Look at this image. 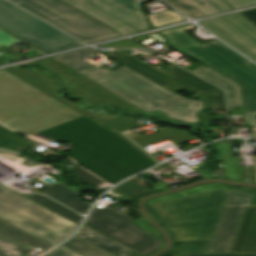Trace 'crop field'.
<instances>
[{"mask_svg":"<svg viewBox=\"0 0 256 256\" xmlns=\"http://www.w3.org/2000/svg\"><path fill=\"white\" fill-rule=\"evenodd\" d=\"M0 123L76 145L69 157L110 184L152 165L148 158L117 136L68 106L0 70Z\"/></svg>","mask_w":256,"mask_h":256,"instance_id":"crop-field-1","label":"crop field"},{"mask_svg":"<svg viewBox=\"0 0 256 256\" xmlns=\"http://www.w3.org/2000/svg\"><path fill=\"white\" fill-rule=\"evenodd\" d=\"M95 55L97 53L89 48L53 58L147 112L160 109L172 119L198 122L195 113L203 107L200 100L174 94L124 66L111 71L86 62Z\"/></svg>","mask_w":256,"mask_h":256,"instance_id":"crop-field-2","label":"crop field"},{"mask_svg":"<svg viewBox=\"0 0 256 256\" xmlns=\"http://www.w3.org/2000/svg\"><path fill=\"white\" fill-rule=\"evenodd\" d=\"M226 205V189L147 205L152 215L185 241L179 256H256L206 254Z\"/></svg>","mask_w":256,"mask_h":256,"instance_id":"crop-field-3","label":"crop field"},{"mask_svg":"<svg viewBox=\"0 0 256 256\" xmlns=\"http://www.w3.org/2000/svg\"><path fill=\"white\" fill-rule=\"evenodd\" d=\"M195 27L187 25L160 33L171 48L241 84L246 125L251 126L252 137H256V66L217 40L203 44L184 32ZM161 34L148 36L166 45Z\"/></svg>","mask_w":256,"mask_h":256,"instance_id":"crop-field-4","label":"crop field"},{"mask_svg":"<svg viewBox=\"0 0 256 256\" xmlns=\"http://www.w3.org/2000/svg\"><path fill=\"white\" fill-rule=\"evenodd\" d=\"M0 214L57 243L68 238L77 228L74 223L1 184Z\"/></svg>","mask_w":256,"mask_h":256,"instance_id":"crop-field-5","label":"crop field"},{"mask_svg":"<svg viewBox=\"0 0 256 256\" xmlns=\"http://www.w3.org/2000/svg\"><path fill=\"white\" fill-rule=\"evenodd\" d=\"M0 28L45 53L82 44L5 0H0Z\"/></svg>","mask_w":256,"mask_h":256,"instance_id":"crop-field-6","label":"crop field"},{"mask_svg":"<svg viewBox=\"0 0 256 256\" xmlns=\"http://www.w3.org/2000/svg\"><path fill=\"white\" fill-rule=\"evenodd\" d=\"M11 1L87 43L121 36L59 0Z\"/></svg>","mask_w":256,"mask_h":256,"instance_id":"crop-field-7","label":"crop field"},{"mask_svg":"<svg viewBox=\"0 0 256 256\" xmlns=\"http://www.w3.org/2000/svg\"><path fill=\"white\" fill-rule=\"evenodd\" d=\"M84 225L143 256L151 255L163 246L160 240L137 225L134 220L118 227L91 212Z\"/></svg>","mask_w":256,"mask_h":256,"instance_id":"crop-field-8","label":"crop field"},{"mask_svg":"<svg viewBox=\"0 0 256 256\" xmlns=\"http://www.w3.org/2000/svg\"><path fill=\"white\" fill-rule=\"evenodd\" d=\"M252 60L256 59V28L239 13L200 23Z\"/></svg>","mask_w":256,"mask_h":256,"instance_id":"crop-field-9","label":"crop field"},{"mask_svg":"<svg viewBox=\"0 0 256 256\" xmlns=\"http://www.w3.org/2000/svg\"><path fill=\"white\" fill-rule=\"evenodd\" d=\"M42 65L54 70L58 73L67 83L73 84V89L69 90L75 96H82L86 102L94 105L100 101L113 102L121 107H128L132 105L123 98L96 84L95 82L87 79L58 61L50 58L39 61Z\"/></svg>","mask_w":256,"mask_h":256,"instance_id":"crop-field-10","label":"crop field"},{"mask_svg":"<svg viewBox=\"0 0 256 256\" xmlns=\"http://www.w3.org/2000/svg\"><path fill=\"white\" fill-rule=\"evenodd\" d=\"M247 206L226 207L207 253H230Z\"/></svg>","mask_w":256,"mask_h":256,"instance_id":"crop-field-11","label":"crop field"},{"mask_svg":"<svg viewBox=\"0 0 256 256\" xmlns=\"http://www.w3.org/2000/svg\"><path fill=\"white\" fill-rule=\"evenodd\" d=\"M92 5L107 14L132 25L139 31L150 28L146 17L141 12L140 3L149 0H90Z\"/></svg>","mask_w":256,"mask_h":256,"instance_id":"crop-field-12","label":"crop field"},{"mask_svg":"<svg viewBox=\"0 0 256 256\" xmlns=\"http://www.w3.org/2000/svg\"><path fill=\"white\" fill-rule=\"evenodd\" d=\"M168 71L175 83L189 88L193 93L199 92L197 94L199 96H222L210 99L211 103L214 105L211 109L226 110L223 90L208 84L207 82L173 64L168 66Z\"/></svg>","mask_w":256,"mask_h":256,"instance_id":"crop-field-13","label":"crop field"},{"mask_svg":"<svg viewBox=\"0 0 256 256\" xmlns=\"http://www.w3.org/2000/svg\"><path fill=\"white\" fill-rule=\"evenodd\" d=\"M8 71H10L11 73L19 76L20 78L24 79L25 81H27L28 83L36 86L37 88L43 90L44 92L52 95L53 97L57 98L58 100L64 102L65 104L81 111L82 113L88 115L89 117H91L92 119L96 120L99 123H102L106 120H109L111 118H113L112 115L107 114V113H93L90 111H86L82 108H78L74 103L58 96L57 94L53 93V89L55 88L53 81L50 79V77H48L47 75L41 73V72H35V71H27L25 69L22 68H18V67H11V68H7Z\"/></svg>","mask_w":256,"mask_h":256,"instance_id":"crop-field-14","label":"crop field"},{"mask_svg":"<svg viewBox=\"0 0 256 256\" xmlns=\"http://www.w3.org/2000/svg\"><path fill=\"white\" fill-rule=\"evenodd\" d=\"M191 18L232 10L223 0H164Z\"/></svg>","mask_w":256,"mask_h":256,"instance_id":"crop-field-15","label":"crop field"},{"mask_svg":"<svg viewBox=\"0 0 256 256\" xmlns=\"http://www.w3.org/2000/svg\"><path fill=\"white\" fill-rule=\"evenodd\" d=\"M231 253H256V207L248 206Z\"/></svg>","mask_w":256,"mask_h":256,"instance_id":"crop-field-16","label":"crop field"},{"mask_svg":"<svg viewBox=\"0 0 256 256\" xmlns=\"http://www.w3.org/2000/svg\"><path fill=\"white\" fill-rule=\"evenodd\" d=\"M103 53L118 60L123 65L131 68L132 70L140 73L141 75L147 77L148 79L156 82L157 84H159L175 93L184 89L182 87H179V86L173 84L170 81L168 75L128 56L127 54L106 53V52H103Z\"/></svg>","mask_w":256,"mask_h":256,"instance_id":"crop-field-17","label":"crop field"},{"mask_svg":"<svg viewBox=\"0 0 256 256\" xmlns=\"http://www.w3.org/2000/svg\"><path fill=\"white\" fill-rule=\"evenodd\" d=\"M191 71L223 87L227 91L229 108L243 107L242 93L239 84L204 65Z\"/></svg>","mask_w":256,"mask_h":256,"instance_id":"crop-field-18","label":"crop field"},{"mask_svg":"<svg viewBox=\"0 0 256 256\" xmlns=\"http://www.w3.org/2000/svg\"><path fill=\"white\" fill-rule=\"evenodd\" d=\"M90 229L83 225L76 236L113 256H141Z\"/></svg>","mask_w":256,"mask_h":256,"instance_id":"crop-field-19","label":"crop field"},{"mask_svg":"<svg viewBox=\"0 0 256 256\" xmlns=\"http://www.w3.org/2000/svg\"><path fill=\"white\" fill-rule=\"evenodd\" d=\"M65 2L69 3L70 5L76 7L77 9L83 11L84 13L92 16L93 18L101 21L102 23L120 31L124 34H129L133 32H137L132 27L116 20L115 18L105 14L104 12L92 7L89 4L88 0H64Z\"/></svg>","mask_w":256,"mask_h":256,"instance_id":"crop-field-20","label":"crop field"},{"mask_svg":"<svg viewBox=\"0 0 256 256\" xmlns=\"http://www.w3.org/2000/svg\"><path fill=\"white\" fill-rule=\"evenodd\" d=\"M64 204L67 206L85 214L90 205L78 200V196L75 192L65 187L61 183L54 184L42 191H40Z\"/></svg>","mask_w":256,"mask_h":256,"instance_id":"crop-field-21","label":"crop field"},{"mask_svg":"<svg viewBox=\"0 0 256 256\" xmlns=\"http://www.w3.org/2000/svg\"><path fill=\"white\" fill-rule=\"evenodd\" d=\"M0 235L19 245L25 243L35 249L39 247L46 251L49 248L53 247L1 219Z\"/></svg>","mask_w":256,"mask_h":256,"instance_id":"crop-field-22","label":"crop field"},{"mask_svg":"<svg viewBox=\"0 0 256 256\" xmlns=\"http://www.w3.org/2000/svg\"><path fill=\"white\" fill-rule=\"evenodd\" d=\"M196 137H191L189 135H187V132L185 130L180 131L176 128L171 129V128H167L165 130L147 135V136H143L137 139H133L136 143H138L140 146L144 147L147 145H151L160 141H164V140H171L173 143L177 144L183 141H187L190 139H193Z\"/></svg>","mask_w":256,"mask_h":256,"instance_id":"crop-field-23","label":"crop field"},{"mask_svg":"<svg viewBox=\"0 0 256 256\" xmlns=\"http://www.w3.org/2000/svg\"><path fill=\"white\" fill-rule=\"evenodd\" d=\"M28 199L40 204L41 206L51 210L52 212L76 223L79 225L83 216L69 210L68 208L54 202L53 200L43 196V195H31Z\"/></svg>","mask_w":256,"mask_h":256,"instance_id":"crop-field-24","label":"crop field"},{"mask_svg":"<svg viewBox=\"0 0 256 256\" xmlns=\"http://www.w3.org/2000/svg\"><path fill=\"white\" fill-rule=\"evenodd\" d=\"M31 144L32 143L0 125V149L21 154L22 151L29 148Z\"/></svg>","mask_w":256,"mask_h":256,"instance_id":"crop-field-25","label":"crop field"},{"mask_svg":"<svg viewBox=\"0 0 256 256\" xmlns=\"http://www.w3.org/2000/svg\"><path fill=\"white\" fill-rule=\"evenodd\" d=\"M61 245L83 256H111L77 237H74Z\"/></svg>","mask_w":256,"mask_h":256,"instance_id":"crop-field-26","label":"crop field"},{"mask_svg":"<svg viewBox=\"0 0 256 256\" xmlns=\"http://www.w3.org/2000/svg\"><path fill=\"white\" fill-rule=\"evenodd\" d=\"M223 188H226V187L224 185H220V184H207V185H204V186L187 189V190H184V191H181V192H178V193L162 196V197H159V198H157V199H155V200H153V201H151L147 204L166 201V200L179 198V197H183V196H188V195L205 193V192L219 190V189H223Z\"/></svg>","mask_w":256,"mask_h":256,"instance_id":"crop-field-27","label":"crop field"},{"mask_svg":"<svg viewBox=\"0 0 256 256\" xmlns=\"http://www.w3.org/2000/svg\"><path fill=\"white\" fill-rule=\"evenodd\" d=\"M148 16L153 24V28L184 20V18L171 10H166Z\"/></svg>","mask_w":256,"mask_h":256,"instance_id":"crop-field-28","label":"crop field"},{"mask_svg":"<svg viewBox=\"0 0 256 256\" xmlns=\"http://www.w3.org/2000/svg\"><path fill=\"white\" fill-rule=\"evenodd\" d=\"M255 194L227 189V205H251Z\"/></svg>","mask_w":256,"mask_h":256,"instance_id":"crop-field-29","label":"crop field"},{"mask_svg":"<svg viewBox=\"0 0 256 256\" xmlns=\"http://www.w3.org/2000/svg\"><path fill=\"white\" fill-rule=\"evenodd\" d=\"M102 125L118 132H123L126 130L137 128V124L131 118L128 117H117Z\"/></svg>","mask_w":256,"mask_h":256,"instance_id":"crop-field-30","label":"crop field"},{"mask_svg":"<svg viewBox=\"0 0 256 256\" xmlns=\"http://www.w3.org/2000/svg\"><path fill=\"white\" fill-rule=\"evenodd\" d=\"M92 211L96 212L97 214L101 215L102 217L108 219L109 221L113 222L114 224H116L118 226L132 219V218L126 217V216L106 207V206L103 208L94 207Z\"/></svg>","mask_w":256,"mask_h":256,"instance_id":"crop-field-31","label":"crop field"},{"mask_svg":"<svg viewBox=\"0 0 256 256\" xmlns=\"http://www.w3.org/2000/svg\"><path fill=\"white\" fill-rule=\"evenodd\" d=\"M27 249L0 237V256H22Z\"/></svg>","mask_w":256,"mask_h":256,"instance_id":"crop-field-32","label":"crop field"},{"mask_svg":"<svg viewBox=\"0 0 256 256\" xmlns=\"http://www.w3.org/2000/svg\"><path fill=\"white\" fill-rule=\"evenodd\" d=\"M118 189L122 190L126 194L131 197H141L148 194V191L140 186L138 183L133 181L132 179L126 181L125 183L121 184Z\"/></svg>","mask_w":256,"mask_h":256,"instance_id":"crop-field-33","label":"crop field"},{"mask_svg":"<svg viewBox=\"0 0 256 256\" xmlns=\"http://www.w3.org/2000/svg\"><path fill=\"white\" fill-rule=\"evenodd\" d=\"M223 165L226 178L239 181L238 156H230Z\"/></svg>","mask_w":256,"mask_h":256,"instance_id":"crop-field-34","label":"crop field"},{"mask_svg":"<svg viewBox=\"0 0 256 256\" xmlns=\"http://www.w3.org/2000/svg\"><path fill=\"white\" fill-rule=\"evenodd\" d=\"M72 171L74 172V177L83 179L92 185H96L102 182V180L98 179L97 177H95L94 175H92L91 173L87 172L86 170L79 166L72 168Z\"/></svg>","mask_w":256,"mask_h":256,"instance_id":"crop-field-35","label":"crop field"},{"mask_svg":"<svg viewBox=\"0 0 256 256\" xmlns=\"http://www.w3.org/2000/svg\"><path fill=\"white\" fill-rule=\"evenodd\" d=\"M216 148L219 152L215 160L222 161L230 154V141L217 143Z\"/></svg>","mask_w":256,"mask_h":256,"instance_id":"crop-field-36","label":"crop field"},{"mask_svg":"<svg viewBox=\"0 0 256 256\" xmlns=\"http://www.w3.org/2000/svg\"><path fill=\"white\" fill-rule=\"evenodd\" d=\"M45 256H80V255H78L60 245L55 250H53L52 252L48 253Z\"/></svg>","mask_w":256,"mask_h":256,"instance_id":"crop-field-37","label":"crop field"},{"mask_svg":"<svg viewBox=\"0 0 256 256\" xmlns=\"http://www.w3.org/2000/svg\"><path fill=\"white\" fill-rule=\"evenodd\" d=\"M16 39L12 38L11 36L7 35L6 33L0 31V46H11L13 43H15Z\"/></svg>","mask_w":256,"mask_h":256,"instance_id":"crop-field-38","label":"crop field"},{"mask_svg":"<svg viewBox=\"0 0 256 256\" xmlns=\"http://www.w3.org/2000/svg\"><path fill=\"white\" fill-rule=\"evenodd\" d=\"M226 1L230 3L232 6H234L235 8L256 3V0H226Z\"/></svg>","mask_w":256,"mask_h":256,"instance_id":"crop-field-39","label":"crop field"},{"mask_svg":"<svg viewBox=\"0 0 256 256\" xmlns=\"http://www.w3.org/2000/svg\"><path fill=\"white\" fill-rule=\"evenodd\" d=\"M241 14H243L247 19L256 25V9L241 12Z\"/></svg>","mask_w":256,"mask_h":256,"instance_id":"crop-field-40","label":"crop field"},{"mask_svg":"<svg viewBox=\"0 0 256 256\" xmlns=\"http://www.w3.org/2000/svg\"><path fill=\"white\" fill-rule=\"evenodd\" d=\"M121 138H123L125 141H127L129 144H131L133 147H135L137 150H139L142 154H144L146 157H148L151 161H153L155 164H157L158 162H156L153 158H151L148 154H146L144 151H142L141 149H139L133 142H131L126 136H124L123 134H118Z\"/></svg>","mask_w":256,"mask_h":256,"instance_id":"crop-field-41","label":"crop field"},{"mask_svg":"<svg viewBox=\"0 0 256 256\" xmlns=\"http://www.w3.org/2000/svg\"><path fill=\"white\" fill-rule=\"evenodd\" d=\"M0 218L3 219V220H5V221H7V222H9V223H11L12 225H14V226H16V227H18V228H20V229H22V230H24V231L30 233V234H32L33 236H35V237H37V238H39V239H41V240H43V241H45V242H47V243L53 245V246L56 245V244H54V243H52V242H50V241H48V240H46V239H44V238H42V237H40V236H38V235H36V234H34V233H32V232H30V231H28V230H26V229L20 227V226H18V225H16V224L12 223L13 221L11 222V221H9V220H7V219L1 217V216H0Z\"/></svg>","mask_w":256,"mask_h":256,"instance_id":"crop-field-42","label":"crop field"},{"mask_svg":"<svg viewBox=\"0 0 256 256\" xmlns=\"http://www.w3.org/2000/svg\"><path fill=\"white\" fill-rule=\"evenodd\" d=\"M51 153H53V154H55V155H57V156L61 155V154H59V153H57V152H55V151H53V150H49V151H47V152H44V153H42V155L47 156V155H49V154H51Z\"/></svg>","mask_w":256,"mask_h":256,"instance_id":"crop-field-43","label":"crop field"},{"mask_svg":"<svg viewBox=\"0 0 256 256\" xmlns=\"http://www.w3.org/2000/svg\"><path fill=\"white\" fill-rule=\"evenodd\" d=\"M138 40L142 41V40H145V39H148L149 37L144 35V36H140V37H136Z\"/></svg>","mask_w":256,"mask_h":256,"instance_id":"crop-field-44","label":"crop field"},{"mask_svg":"<svg viewBox=\"0 0 256 256\" xmlns=\"http://www.w3.org/2000/svg\"><path fill=\"white\" fill-rule=\"evenodd\" d=\"M254 162H255V174H256V156H254Z\"/></svg>","mask_w":256,"mask_h":256,"instance_id":"crop-field-45","label":"crop field"},{"mask_svg":"<svg viewBox=\"0 0 256 256\" xmlns=\"http://www.w3.org/2000/svg\"><path fill=\"white\" fill-rule=\"evenodd\" d=\"M252 205H255L256 206V195H255V198H254V201H253V204Z\"/></svg>","mask_w":256,"mask_h":256,"instance_id":"crop-field-46","label":"crop field"},{"mask_svg":"<svg viewBox=\"0 0 256 256\" xmlns=\"http://www.w3.org/2000/svg\"><path fill=\"white\" fill-rule=\"evenodd\" d=\"M255 62H256V60H255Z\"/></svg>","mask_w":256,"mask_h":256,"instance_id":"crop-field-47","label":"crop field"}]
</instances>
